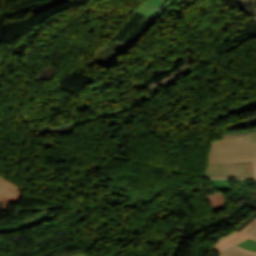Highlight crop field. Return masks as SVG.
Instances as JSON below:
<instances>
[{
    "label": "crop field",
    "mask_w": 256,
    "mask_h": 256,
    "mask_svg": "<svg viewBox=\"0 0 256 256\" xmlns=\"http://www.w3.org/2000/svg\"><path fill=\"white\" fill-rule=\"evenodd\" d=\"M248 238L256 239V218L254 220H252L248 225H246L239 232L236 231V232L232 233L231 235L220 239L218 241V243L215 246H213L211 249H213L221 254L226 249H228L232 246H235L236 244H238ZM235 247H237V246H235ZM237 248H239V247H237ZM239 249H241V248H239ZM241 250H243V249H241ZM244 251H247V250H244ZM248 252H252V251H248ZM252 253H256V252H252Z\"/></svg>",
    "instance_id": "obj_3"
},
{
    "label": "crop field",
    "mask_w": 256,
    "mask_h": 256,
    "mask_svg": "<svg viewBox=\"0 0 256 256\" xmlns=\"http://www.w3.org/2000/svg\"><path fill=\"white\" fill-rule=\"evenodd\" d=\"M168 0H146L145 3L136 10L135 14L156 20L157 17L164 11L160 7Z\"/></svg>",
    "instance_id": "obj_5"
},
{
    "label": "crop field",
    "mask_w": 256,
    "mask_h": 256,
    "mask_svg": "<svg viewBox=\"0 0 256 256\" xmlns=\"http://www.w3.org/2000/svg\"><path fill=\"white\" fill-rule=\"evenodd\" d=\"M79 256H85L84 254H82V255H79Z\"/></svg>",
    "instance_id": "obj_15"
},
{
    "label": "crop field",
    "mask_w": 256,
    "mask_h": 256,
    "mask_svg": "<svg viewBox=\"0 0 256 256\" xmlns=\"http://www.w3.org/2000/svg\"><path fill=\"white\" fill-rule=\"evenodd\" d=\"M80 253H83V251L78 252V253H75V254H71V255H68V256H75V255H78V254H80Z\"/></svg>",
    "instance_id": "obj_13"
},
{
    "label": "crop field",
    "mask_w": 256,
    "mask_h": 256,
    "mask_svg": "<svg viewBox=\"0 0 256 256\" xmlns=\"http://www.w3.org/2000/svg\"><path fill=\"white\" fill-rule=\"evenodd\" d=\"M253 159L256 172V144L248 145L247 138L216 140L209 162H226Z\"/></svg>",
    "instance_id": "obj_1"
},
{
    "label": "crop field",
    "mask_w": 256,
    "mask_h": 256,
    "mask_svg": "<svg viewBox=\"0 0 256 256\" xmlns=\"http://www.w3.org/2000/svg\"><path fill=\"white\" fill-rule=\"evenodd\" d=\"M213 188L219 189V190H229L231 189V183L230 180H212L209 179Z\"/></svg>",
    "instance_id": "obj_7"
},
{
    "label": "crop field",
    "mask_w": 256,
    "mask_h": 256,
    "mask_svg": "<svg viewBox=\"0 0 256 256\" xmlns=\"http://www.w3.org/2000/svg\"><path fill=\"white\" fill-rule=\"evenodd\" d=\"M19 186L6 181L0 177V201H3V210L5 211L9 203L16 204L21 197L22 193L17 192Z\"/></svg>",
    "instance_id": "obj_4"
},
{
    "label": "crop field",
    "mask_w": 256,
    "mask_h": 256,
    "mask_svg": "<svg viewBox=\"0 0 256 256\" xmlns=\"http://www.w3.org/2000/svg\"><path fill=\"white\" fill-rule=\"evenodd\" d=\"M174 0H170L168 1L164 6H162L161 8H163L164 10L173 2Z\"/></svg>",
    "instance_id": "obj_11"
},
{
    "label": "crop field",
    "mask_w": 256,
    "mask_h": 256,
    "mask_svg": "<svg viewBox=\"0 0 256 256\" xmlns=\"http://www.w3.org/2000/svg\"><path fill=\"white\" fill-rule=\"evenodd\" d=\"M237 246H240L244 249H247V250H252V251H256V240H252V239H249Z\"/></svg>",
    "instance_id": "obj_10"
},
{
    "label": "crop field",
    "mask_w": 256,
    "mask_h": 256,
    "mask_svg": "<svg viewBox=\"0 0 256 256\" xmlns=\"http://www.w3.org/2000/svg\"><path fill=\"white\" fill-rule=\"evenodd\" d=\"M46 214H49V213H45V214H43V215H46ZM43 215L35 216V217H33V218L29 219V220H32V219H35V218L41 217V216H43ZM29 220H26V221H29ZM26 221H25V222H26Z\"/></svg>",
    "instance_id": "obj_12"
},
{
    "label": "crop field",
    "mask_w": 256,
    "mask_h": 256,
    "mask_svg": "<svg viewBox=\"0 0 256 256\" xmlns=\"http://www.w3.org/2000/svg\"><path fill=\"white\" fill-rule=\"evenodd\" d=\"M221 256H256V254L243 252V251H240L237 248L233 247V248L225 251L224 253H222Z\"/></svg>",
    "instance_id": "obj_8"
},
{
    "label": "crop field",
    "mask_w": 256,
    "mask_h": 256,
    "mask_svg": "<svg viewBox=\"0 0 256 256\" xmlns=\"http://www.w3.org/2000/svg\"><path fill=\"white\" fill-rule=\"evenodd\" d=\"M52 208V206H44V207H40V208H29V210H44V209H51ZM23 210H27V209H21V208H18L15 212H14V215L11 217V218H14V217H18L19 215H18V213L19 212H21V211H23ZM44 212H48V211H45L44 210ZM44 212H42V213H44ZM42 213H39V214H42ZM38 215V214H37ZM30 217H32V216H30ZM30 217H28V218H30ZM27 218V219H28ZM25 221V220H24ZM21 222H23V221H21ZM21 222H19V223H21ZM19 223H17V224H19ZM17 224H14V225H17ZM14 225H10V226H14ZM10 226H7V227H10ZM4 228H6V227H4ZM1 229H3V228H1Z\"/></svg>",
    "instance_id": "obj_9"
},
{
    "label": "crop field",
    "mask_w": 256,
    "mask_h": 256,
    "mask_svg": "<svg viewBox=\"0 0 256 256\" xmlns=\"http://www.w3.org/2000/svg\"><path fill=\"white\" fill-rule=\"evenodd\" d=\"M205 176L211 178L256 179L252 160L226 163H209V167Z\"/></svg>",
    "instance_id": "obj_2"
},
{
    "label": "crop field",
    "mask_w": 256,
    "mask_h": 256,
    "mask_svg": "<svg viewBox=\"0 0 256 256\" xmlns=\"http://www.w3.org/2000/svg\"><path fill=\"white\" fill-rule=\"evenodd\" d=\"M78 251H81V249H79V250H77V251H74V252H71V253H75V252H78ZM71 253H69V254H71ZM66 255H68V254H66ZM65 256V255H64Z\"/></svg>",
    "instance_id": "obj_14"
},
{
    "label": "crop field",
    "mask_w": 256,
    "mask_h": 256,
    "mask_svg": "<svg viewBox=\"0 0 256 256\" xmlns=\"http://www.w3.org/2000/svg\"><path fill=\"white\" fill-rule=\"evenodd\" d=\"M248 137L249 144L256 143V131H244L237 133H225L223 134L224 139Z\"/></svg>",
    "instance_id": "obj_6"
}]
</instances>
